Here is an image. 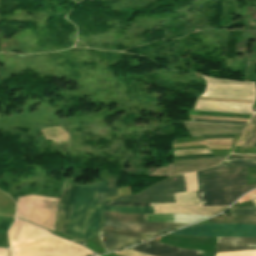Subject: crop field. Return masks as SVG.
Returning a JSON list of instances; mask_svg holds the SVG:
<instances>
[{
	"label": "crop field",
	"instance_id": "obj_1",
	"mask_svg": "<svg viewBox=\"0 0 256 256\" xmlns=\"http://www.w3.org/2000/svg\"><path fill=\"white\" fill-rule=\"evenodd\" d=\"M95 184L96 182L83 186L76 184L75 188L74 179H65L60 201L57 229L68 234L75 188L69 231V234L75 237L74 241L87 240ZM107 188L108 181H99L96 184L88 239L94 236L99 228L101 216L100 203L105 201Z\"/></svg>",
	"mask_w": 256,
	"mask_h": 256
},
{
	"label": "crop field",
	"instance_id": "obj_2",
	"mask_svg": "<svg viewBox=\"0 0 256 256\" xmlns=\"http://www.w3.org/2000/svg\"><path fill=\"white\" fill-rule=\"evenodd\" d=\"M249 167H223L201 171L202 178L248 172ZM199 190L245 185L248 173L218 176L201 179L200 171L197 172ZM196 172L185 174L187 191L198 190ZM184 174L169 177L137 195H126L115 201H142L153 203L175 202L173 192L186 191ZM179 179V183L173 180Z\"/></svg>",
	"mask_w": 256,
	"mask_h": 256
},
{
	"label": "crop field",
	"instance_id": "obj_3",
	"mask_svg": "<svg viewBox=\"0 0 256 256\" xmlns=\"http://www.w3.org/2000/svg\"><path fill=\"white\" fill-rule=\"evenodd\" d=\"M12 256H85L94 254L74 243L16 220L9 230ZM15 250L16 254L13 255ZM14 252V253H15Z\"/></svg>",
	"mask_w": 256,
	"mask_h": 256
},
{
	"label": "crop field",
	"instance_id": "obj_4",
	"mask_svg": "<svg viewBox=\"0 0 256 256\" xmlns=\"http://www.w3.org/2000/svg\"><path fill=\"white\" fill-rule=\"evenodd\" d=\"M256 187V185L231 187L224 189L202 191L206 206L230 205L239 196L246 191ZM176 203L154 204V206L162 205H191L205 206L201 191L174 194ZM102 205H133V206H153V204L136 203V202H114L108 201Z\"/></svg>",
	"mask_w": 256,
	"mask_h": 256
},
{
	"label": "crop field",
	"instance_id": "obj_5",
	"mask_svg": "<svg viewBox=\"0 0 256 256\" xmlns=\"http://www.w3.org/2000/svg\"><path fill=\"white\" fill-rule=\"evenodd\" d=\"M171 234L194 236L256 237V226L241 224H201Z\"/></svg>",
	"mask_w": 256,
	"mask_h": 256
},
{
	"label": "crop field",
	"instance_id": "obj_6",
	"mask_svg": "<svg viewBox=\"0 0 256 256\" xmlns=\"http://www.w3.org/2000/svg\"><path fill=\"white\" fill-rule=\"evenodd\" d=\"M185 225L187 224L155 222L126 223L120 221L105 220L102 226L120 230L162 234Z\"/></svg>",
	"mask_w": 256,
	"mask_h": 256
},
{
	"label": "crop field",
	"instance_id": "obj_7",
	"mask_svg": "<svg viewBox=\"0 0 256 256\" xmlns=\"http://www.w3.org/2000/svg\"><path fill=\"white\" fill-rule=\"evenodd\" d=\"M224 158L225 157L175 162L168 164V167L156 169L150 175L171 176L186 171L202 169L215 165L222 161Z\"/></svg>",
	"mask_w": 256,
	"mask_h": 256
},
{
	"label": "crop field",
	"instance_id": "obj_8",
	"mask_svg": "<svg viewBox=\"0 0 256 256\" xmlns=\"http://www.w3.org/2000/svg\"><path fill=\"white\" fill-rule=\"evenodd\" d=\"M154 256H201L203 251H189L180 248L170 247L156 242H146L133 248Z\"/></svg>",
	"mask_w": 256,
	"mask_h": 256
},
{
	"label": "crop field",
	"instance_id": "obj_9",
	"mask_svg": "<svg viewBox=\"0 0 256 256\" xmlns=\"http://www.w3.org/2000/svg\"><path fill=\"white\" fill-rule=\"evenodd\" d=\"M191 136L217 135L228 133H242L246 125L231 126L218 124H198L192 122H184Z\"/></svg>",
	"mask_w": 256,
	"mask_h": 256
},
{
	"label": "crop field",
	"instance_id": "obj_10",
	"mask_svg": "<svg viewBox=\"0 0 256 256\" xmlns=\"http://www.w3.org/2000/svg\"><path fill=\"white\" fill-rule=\"evenodd\" d=\"M201 96L254 100L255 91L244 88L207 86Z\"/></svg>",
	"mask_w": 256,
	"mask_h": 256
},
{
	"label": "crop field",
	"instance_id": "obj_11",
	"mask_svg": "<svg viewBox=\"0 0 256 256\" xmlns=\"http://www.w3.org/2000/svg\"><path fill=\"white\" fill-rule=\"evenodd\" d=\"M251 104L198 100L194 110L251 114Z\"/></svg>",
	"mask_w": 256,
	"mask_h": 256
},
{
	"label": "crop field",
	"instance_id": "obj_12",
	"mask_svg": "<svg viewBox=\"0 0 256 256\" xmlns=\"http://www.w3.org/2000/svg\"><path fill=\"white\" fill-rule=\"evenodd\" d=\"M216 252L222 251H240V250H256L255 238H231L218 237Z\"/></svg>",
	"mask_w": 256,
	"mask_h": 256
},
{
	"label": "crop field",
	"instance_id": "obj_13",
	"mask_svg": "<svg viewBox=\"0 0 256 256\" xmlns=\"http://www.w3.org/2000/svg\"><path fill=\"white\" fill-rule=\"evenodd\" d=\"M228 206L218 207H191V206H168L154 207V213H184V214H200L214 215L223 211Z\"/></svg>",
	"mask_w": 256,
	"mask_h": 256
},
{
	"label": "crop field",
	"instance_id": "obj_14",
	"mask_svg": "<svg viewBox=\"0 0 256 256\" xmlns=\"http://www.w3.org/2000/svg\"><path fill=\"white\" fill-rule=\"evenodd\" d=\"M105 219L129 221V222H140L144 221V214L129 215V214H118L104 212ZM145 221H156V222H173V214H145Z\"/></svg>",
	"mask_w": 256,
	"mask_h": 256
},
{
	"label": "crop field",
	"instance_id": "obj_15",
	"mask_svg": "<svg viewBox=\"0 0 256 256\" xmlns=\"http://www.w3.org/2000/svg\"><path fill=\"white\" fill-rule=\"evenodd\" d=\"M100 232L105 240L109 251L122 249L138 242L144 241V239L126 237L111 232Z\"/></svg>",
	"mask_w": 256,
	"mask_h": 256
},
{
	"label": "crop field",
	"instance_id": "obj_16",
	"mask_svg": "<svg viewBox=\"0 0 256 256\" xmlns=\"http://www.w3.org/2000/svg\"><path fill=\"white\" fill-rule=\"evenodd\" d=\"M209 223H241L256 225L255 216L245 217H214L208 220Z\"/></svg>",
	"mask_w": 256,
	"mask_h": 256
},
{
	"label": "crop field",
	"instance_id": "obj_17",
	"mask_svg": "<svg viewBox=\"0 0 256 256\" xmlns=\"http://www.w3.org/2000/svg\"><path fill=\"white\" fill-rule=\"evenodd\" d=\"M103 211L123 213H153V207L101 206Z\"/></svg>",
	"mask_w": 256,
	"mask_h": 256
},
{
	"label": "crop field",
	"instance_id": "obj_18",
	"mask_svg": "<svg viewBox=\"0 0 256 256\" xmlns=\"http://www.w3.org/2000/svg\"><path fill=\"white\" fill-rule=\"evenodd\" d=\"M203 78L206 79L207 85L246 87V88L254 89V85L252 83L233 82V81L220 80V79H214L209 77H203Z\"/></svg>",
	"mask_w": 256,
	"mask_h": 256
},
{
	"label": "crop field",
	"instance_id": "obj_19",
	"mask_svg": "<svg viewBox=\"0 0 256 256\" xmlns=\"http://www.w3.org/2000/svg\"><path fill=\"white\" fill-rule=\"evenodd\" d=\"M223 166H256V159H239V160L223 161L221 164L212 168L223 167Z\"/></svg>",
	"mask_w": 256,
	"mask_h": 256
},
{
	"label": "crop field",
	"instance_id": "obj_20",
	"mask_svg": "<svg viewBox=\"0 0 256 256\" xmlns=\"http://www.w3.org/2000/svg\"><path fill=\"white\" fill-rule=\"evenodd\" d=\"M101 230L111 231V232H115V233H119V234H123V235H127V236L144 238V239H149L151 237L156 236L155 234L135 233V232H127V231L120 232V231H115V230H111V229H107V228H103V227Z\"/></svg>",
	"mask_w": 256,
	"mask_h": 256
},
{
	"label": "crop field",
	"instance_id": "obj_21",
	"mask_svg": "<svg viewBox=\"0 0 256 256\" xmlns=\"http://www.w3.org/2000/svg\"><path fill=\"white\" fill-rule=\"evenodd\" d=\"M256 215V208H230V216Z\"/></svg>",
	"mask_w": 256,
	"mask_h": 256
},
{
	"label": "crop field",
	"instance_id": "obj_22",
	"mask_svg": "<svg viewBox=\"0 0 256 256\" xmlns=\"http://www.w3.org/2000/svg\"><path fill=\"white\" fill-rule=\"evenodd\" d=\"M250 124L256 125V114H254L251 118ZM256 143V127L255 129L250 133L247 140L243 144V146H254Z\"/></svg>",
	"mask_w": 256,
	"mask_h": 256
},
{
	"label": "crop field",
	"instance_id": "obj_23",
	"mask_svg": "<svg viewBox=\"0 0 256 256\" xmlns=\"http://www.w3.org/2000/svg\"><path fill=\"white\" fill-rule=\"evenodd\" d=\"M118 177L111 176L109 177V189L107 196H116V185Z\"/></svg>",
	"mask_w": 256,
	"mask_h": 256
},
{
	"label": "crop field",
	"instance_id": "obj_24",
	"mask_svg": "<svg viewBox=\"0 0 256 256\" xmlns=\"http://www.w3.org/2000/svg\"><path fill=\"white\" fill-rule=\"evenodd\" d=\"M210 152L207 149H199V150H183V151H175L176 156L180 155H190V154H199V153H208Z\"/></svg>",
	"mask_w": 256,
	"mask_h": 256
},
{
	"label": "crop field",
	"instance_id": "obj_25",
	"mask_svg": "<svg viewBox=\"0 0 256 256\" xmlns=\"http://www.w3.org/2000/svg\"><path fill=\"white\" fill-rule=\"evenodd\" d=\"M192 121H195V122H202V123H219V124H245V123H242V122H230V121H212V120H202V119H194V118H191Z\"/></svg>",
	"mask_w": 256,
	"mask_h": 256
},
{
	"label": "crop field",
	"instance_id": "obj_26",
	"mask_svg": "<svg viewBox=\"0 0 256 256\" xmlns=\"http://www.w3.org/2000/svg\"><path fill=\"white\" fill-rule=\"evenodd\" d=\"M123 256H150L144 253H140V252H135V251H131V250H123V251H119L117 252Z\"/></svg>",
	"mask_w": 256,
	"mask_h": 256
},
{
	"label": "crop field",
	"instance_id": "obj_27",
	"mask_svg": "<svg viewBox=\"0 0 256 256\" xmlns=\"http://www.w3.org/2000/svg\"><path fill=\"white\" fill-rule=\"evenodd\" d=\"M256 155H230L226 159H238V158H254Z\"/></svg>",
	"mask_w": 256,
	"mask_h": 256
},
{
	"label": "crop field",
	"instance_id": "obj_28",
	"mask_svg": "<svg viewBox=\"0 0 256 256\" xmlns=\"http://www.w3.org/2000/svg\"><path fill=\"white\" fill-rule=\"evenodd\" d=\"M0 256H9L8 250L0 249Z\"/></svg>",
	"mask_w": 256,
	"mask_h": 256
},
{
	"label": "crop field",
	"instance_id": "obj_29",
	"mask_svg": "<svg viewBox=\"0 0 256 256\" xmlns=\"http://www.w3.org/2000/svg\"><path fill=\"white\" fill-rule=\"evenodd\" d=\"M221 156H226V155H221ZM212 157H220V156H210V157H200V158H190V159H201V158H212ZM180 160H185V159H180Z\"/></svg>",
	"mask_w": 256,
	"mask_h": 256
},
{
	"label": "crop field",
	"instance_id": "obj_30",
	"mask_svg": "<svg viewBox=\"0 0 256 256\" xmlns=\"http://www.w3.org/2000/svg\"><path fill=\"white\" fill-rule=\"evenodd\" d=\"M256 199V194L251 196V200Z\"/></svg>",
	"mask_w": 256,
	"mask_h": 256
},
{
	"label": "crop field",
	"instance_id": "obj_31",
	"mask_svg": "<svg viewBox=\"0 0 256 256\" xmlns=\"http://www.w3.org/2000/svg\"><path fill=\"white\" fill-rule=\"evenodd\" d=\"M254 202V204L256 205V200L255 201H253Z\"/></svg>",
	"mask_w": 256,
	"mask_h": 256
},
{
	"label": "crop field",
	"instance_id": "obj_32",
	"mask_svg": "<svg viewBox=\"0 0 256 256\" xmlns=\"http://www.w3.org/2000/svg\"><path fill=\"white\" fill-rule=\"evenodd\" d=\"M254 147H256V145Z\"/></svg>",
	"mask_w": 256,
	"mask_h": 256
},
{
	"label": "crop field",
	"instance_id": "obj_33",
	"mask_svg": "<svg viewBox=\"0 0 256 256\" xmlns=\"http://www.w3.org/2000/svg\"><path fill=\"white\" fill-rule=\"evenodd\" d=\"M255 85H256V83H255Z\"/></svg>",
	"mask_w": 256,
	"mask_h": 256
}]
</instances>
